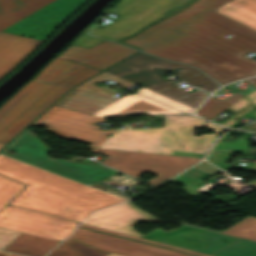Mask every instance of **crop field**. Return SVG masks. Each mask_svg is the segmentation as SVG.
I'll list each match as a JSON object with an SVG mask.
<instances>
[{"mask_svg": "<svg viewBox=\"0 0 256 256\" xmlns=\"http://www.w3.org/2000/svg\"><path fill=\"white\" fill-rule=\"evenodd\" d=\"M230 0H198L123 42L195 66L222 85L256 75V31L215 11ZM232 35L227 38L226 35Z\"/></svg>", "mask_w": 256, "mask_h": 256, "instance_id": "obj_1", "label": "crop field"}, {"mask_svg": "<svg viewBox=\"0 0 256 256\" xmlns=\"http://www.w3.org/2000/svg\"><path fill=\"white\" fill-rule=\"evenodd\" d=\"M0 174L29 185L8 204L78 222L92 210L126 201L3 155H0ZM24 187L0 176V202L7 203Z\"/></svg>", "mask_w": 256, "mask_h": 256, "instance_id": "obj_2", "label": "crop field"}, {"mask_svg": "<svg viewBox=\"0 0 256 256\" xmlns=\"http://www.w3.org/2000/svg\"><path fill=\"white\" fill-rule=\"evenodd\" d=\"M99 72L57 56L0 108V143L6 144L68 89Z\"/></svg>", "mask_w": 256, "mask_h": 256, "instance_id": "obj_3", "label": "crop field"}, {"mask_svg": "<svg viewBox=\"0 0 256 256\" xmlns=\"http://www.w3.org/2000/svg\"><path fill=\"white\" fill-rule=\"evenodd\" d=\"M164 128L117 130L99 148L171 155L173 150L207 153L220 134L176 132L175 116H164Z\"/></svg>", "mask_w": 256, "mask_h": 256, "instance_id": "obj_4", "label": "crop field"}, {"mask_svg": "<svg viewBox=\"0 0 256 256\" xmlns=\"http://www.w3.org/2000/svg\"><path fill=\"white\" fill-rule=\"evenodd\" d=\"M169 71L173 72L177 79L207 92L218 87L213 80L190 66L168 62L143 53H138L108 70L163 96L180 89L177 83L162 78ZM137 78L139 80H136Z\"/></svg>", "mask_w": 256, "mask_h": 256, "instance_id": "obj_5", "label": "crop field"}, {"mask_svg": "<svg viewBox=\"0 0 256 256\" xmlns=\"http://www.w3.org/2000/svg\"><path fill=\"white\" fill-rule=\"evenodd\" d=\"M17 146L21 147L18 148ZM47 149L48 146L39 137H37L34 133H28L24 134L12 147L7 149L2 154L11 157L19 155L16 157L19 160L59 173L83 184L92 185L125 198L123 195L94 183L101 178L113 174L111 170L83 164L70 163L64 161L63 159H53L46 155ZM11 151L16 153L13 155L8 154Z\"/></svg>", "mask_w": 256, "mask_h": 256, "instance_id": "obj_6", "label": "crop field"}, {"mask_svg": "<svg viewBox=\"0 0 256 256\" xmlns=\"http://www.w3.org/2000/svg\"><path fill=\"white\" fill-rule=\"evenodd\" d=\"M191 0H121L114 8L120 16L103 29L94 28L90 35L117 41L144 28L158 18Z\"/></svg>", "mask_w": 256, "mask_h": 256, "instance_id": "obj_7", "label": "crop field"}, {"mask_svg": "<svg viewBox=\"0 0 256 256\" xmlns=\"http://www.w3.org/2000/svg\"><path fill=\"white\" fill-rule=\"evenodd\" d=\"M90 149L91 152L109 156L108 158L103 160L102 163L128 175H131L135 178H138L141 174L145 172L155 174L157 177L146 182L152 186L160 184L162 180L169 179L178 172L201 160L198 158L182 156H166L141 152L116 151L93 148Z\"/></svg>", "mask_w": 256, "mask_h": 256, "instance_id": "obj_8", "label": "crop field"}, {"mask_svg": "<svg viewBox=\"0 0 256 256\" xmlns=\"http://www.w3.org/2000/svg\"><path fill=\"white\" fill-rule=\"evenodd\" d=\"M80 227L116 235V236H121L129 239H134L142 242H147L155 245H160L200 256H208L200 253H196L193 251L141 239V238H136L132 236H128L125 234L117 233L114 231L106 230L103 228L95 227L92 225L84 224L82 223ZM64 242H69L77 245H82L94 249H99L107 252H112L120 255H125V256H192V255H187L179 252H174L94 231H89L85 229L78 228L76 231H74Z\"/></svg>", "mask_w": 256, "mask_h": 256, "instance_id": "obj_9", "label": "crop field"}, {"mask_svg": "<svg viewBox=\"0 0 256 256\" xmlns=\"http://www.w3.org/2000/svg\"><path fill=\"white\" fill-rule=\"evenodd\" d=\"M105 119L91 115L53 106L29 127L36 124L47 126L44 131L64 139L79 140L91 144L89 147L96 148L108 135L117 129L110 131L100 130V126L93 125L95 121Z\"/></svg>", "mask_w": 256, "mask_h": 256, "instance_id": "obj_10", "label": "crop field"}, {"mask_svg": "<svg viewBox=\"0 0 256 256\" xmlns=\"http://www.w3.org/2000/svg\"><path fill=\"white\" fill-rule=\"evenodd\" d=\"M0 203V208L3 206ZM78 222L8 205L0 212V227L63 240Z\"/></svg>", "mask_w": 256, "mask_h": 256, "instance_id": "obj_11", "label": "crop field"}, {"mask_svg": "<svg viewBox=\"0 0 256 256\" xmlns=\"http://www.w3.org/2000/svg\"><path fill=\"white\" fill-rule=\"evenodd\" d=\"M193 109L141 87L139 93L117 100L96 113L95 116L110 119L135 113L153 116L190 114Z\"/></svg>", "mask_w": 256, "mask_h": 256, "instance_id": "obj_12", "label": "crop field"}, {"mask_svg": "<svg viewBox=\"0 0 256 256\" xmlns=\"http://www.w3.org/2000/svg\"><path fill=\"white\" fill-rule=\"evenodd\" d=\"M86 1L88 0H55L3 31L44 41L65 18Z\"/></svg>", "mask_w": 256, "mask_h": 256, "instance_id": "obj_13", "label": "crop field"}, {"mask_svg": "<svg viewBox=\"0 0 256 256\" xmlns=\"http://www.w3.org/2000/svg\"><path fill=\"white\" fill-rule=\"evenodd\" d=\"M107 79H111L126 87L134 85L128 80L104 71L102 74L71 90L59 102H57L55 106L91 115L95 114L96 112L119 99L113 96L117 93V91L109 87H96L95 82Z\"/></svg>", "mask_w": 256, "mask_h": 256, "instance_id": "obj_14", "label": "crop field"}, {"mask_svg": "<svg viewBox=\"0 0 256 256\" xmlns=\"http://www.w3.org/2000/svg\"><path fill=\"white\" fill-rule=\"evenodd\" d=\"M188 236L192 238L185 241L184 239ZM142 238L178 246L208 255L240 239L187 225H184L176 230L172 229L168 232L157 228L144 235Z\"/></svg>", "mask_w": 256, "mask_h": 256, "instance_id": "obj_15", "label": "crop field"}, {"mask_svg": "<svg viewBox=\"0 0 256 256\" xmlns=\"http://www.w3.org/2000/svg\"><path fill=\"white\" fill-rule=\"evenodd\" d=\"M139 220L150 222L159 221L129 202H124L93 213L84 223L140 237L142 235L131 228Z\"/></svg>", "mask_w": 256, "mask_h": 256, "instance_id": "obj_16", "label": "crop field"}, {"mask_svg": "<svg viewBox=\"0 0 256 256\" xmlns=\"http://www.w3.org/2000/svg\"><path fill=\"white\" fill-rule=\"evenodd\" d=\"M135 52L106 41L90 49L69 44L59 55L103 70Z\"/></svg>", "mask_w": 256, "mask_h": 256, "instance_id": "obj_17", "label": "crop field"}, {"mask_svg": "<svg viewBox=\"0 0 256 256\" xmlns=\"http://www.w3.org/2000/svg\"><path fill=\"white\" fill-rule=\"evenodd\" d=\"M41 43V41L0 32V79Z\"/></svg>", "mask_w": 256, "mask_h": 256, "instance_id": "obj_18", "label": "crop field"}, {"mask_svg": "<svg viewBox=\"0 0 256 256\" xmlns=\"http://www.w3.org/2000/svg\"><path fill=\"white\" fill-rule=\"evenodd\" d=\"M54 0H0V31Z\"/></svg>", "mask_w": 256, "mask_h": 256, "instance_id": "obj_19", "label": "crop field"}, {"mask_svg": "<svg viewBox=\"0 0 256 256\" xmlns=\"http://www.w3.org/2000/svg\"><path fill=\"white\" fill-rule=\"evenodd\" d=\"M248 142L249 140L243 137L236 139L234 143L217 142L213 150L208 155L207 160L225 170L233 166L223 164L230 152L249 153L245 158L256 159V149L248 148L250 145ZM223 143L225 145H223ZM229 145L232 146L229 147ZM249 168H252L256 171V163L251 165ZM248 184L256 188V180H253Z\"/></svg>", "mask_w": 256, "mask_h": 256, "instance_id": "obj_20", "label": "crop field"}, {"mask_svg": "<svg viewBox=\"0 0 256 256\" xmlns=\"http://www.w3.org/2000/svg\"><path fill=\"white\" fill-rule=\"evenodd\" d=\"M220 172H222L220 169L203 161L197 166L185 171L172 181L182 184L184 193L191 197H195L201 195V193L194 189L201 186L206 177H211Z\"/></svg>", "mask_w": 256, "mask_h": 256, "instance_id": "obj_21", "label": "crop field"}, {"mask_svg": "<svg viewBox=\"0 0 256 256\" xmlns=\"http://www.w3.org/2000/svg\"><path fill=\"white\" fill-rule=\"evenodd\" d=\"M59 242L23 233L6 250L29 256H43Z\"/></svg>", "mask_w": 256, "mask_h": 256, "instance_id": "obj_22", "label": "crop field"}, {"mask_svg": "<svg viewBox=\"0 0 256 256\" xmlns=\"http://www.w3.org/2000/svg\"><path fill=\"white\" fill-rule=\"evenodd\" d=\"M215 11L256 30V2L252 0H231Z\"/></svg>", "mask_w": 256, "mask_h": 256, "instance_id": "obj_23", "label": "crop field"}, {"mask_svg": "<svg viewBox=\"0 0 256 256\" xmlns=\"http://www.w3.org/2000/svg\"><path fill=\"white\" fill-rule=\"evenodd\" d=\"M241 97L243 96L239 93L233 95L225 101L211 97L203 104V106L196 112V114L210 120Z\"/></svg>", "mask_w": 256, "mask_h": 256, "instance_id": "obj_24", "label": "crop field"}, {"mask_svg": "<svg viewBox=\"0 0 256 256\" xmlns=\"http://www.w3.org/2000/svg\"><path fill=\"white\" fill-rule=\"evenodd\" d=\"M222 233L256 241V217L249 216Z\"/></svg>", "mask_w": 256, "mask_h": 256, "instance_id": "obj_25", "label": "crop field"}, {"mask_svg": "<svg viewBox=\"0 0 256 256\" xmlns=\"http://www.w3.org/2000/svg\"><path fill=\"white\" fill-rule=\"evenodd\" d=\"M108 253L69 243H62L47 256H106Z\"/></svg>", "mask_w": 256, "mask_h": 256, "instance_id": "obj_26", "label": "crop field"}, {"mask_svg": "<svg viewBox=\"0 0 256 256\" xmlns=\"http://www.w3.org/2000/svg\"><path fill=\"white\" fill-rule=\"evenodd\" d=\"M177 131H195V126L210 127L215 133H222L223 128L194 116H176Z\"/></svg>", "mask_w": 256, "mask_h": 256, "instance_id": "obj_27", "label": "crop field"}, {"mask_svg": "<svg viewBox=\"0 0 256 256\" xmlns=\"http://www.w3.org/2000/svg\"><path fill=\"white\" fill-rule=\"evenodd\" d=\"M214 256H256V242L242 239Z\"/></svg>", "mask_w": 256, "mask_h": 256, "instance_id": "obj_28", "label": "crop field"}, {"mask_svg": "<svg viewBox=\"0 0 256 256\" xmlns=\"http://www.w3.org/2000/svg\"><path fill=\"white\" fill-rule=\"evenodd\" d=\"M253 102L251 105H249L247 108L239 112L238 114L234 115L232 118L228 119L226 122H224L222 125L229 126L233 122H235V119L240 117L241 115L245 114L246 112L250 111L251 109L256 107V91L241 98L239 101L234 103L232 106H230L226 111L230 113H235L245 105H247L249 102Z\"/></svg>", "mask_w": 256, "mask_h": 256, "instance_id": "obj_29", "label": "crop field"}, {"mask_svg": "<svg viewBox=\"0 0 256 256\" xmlns=\"http://www.w3.org/2000/svg\"><path fill=\"white\" fill-rule=\"evenodd\" d=\"M170 98H173L177 101H180L182 103H185L189 106H192L194 108H196L204 98L197 96L195 94H192L186 90L180 89L178 91H175L171 94L166 95Z\"/></svg>", "mask_w": 256, "mask_h": 256, "instance_id": "obj_30", "label": "crop field"}, {"mask_svg": "<svg viewBox=\"0 0 256 256\" xmlns=\"http://www.w3.org/2000/svg\"><path fill=\"white\" fill-rule=\"evenodd\" d=\"M87 30L88 29H85L78 37H76L71 42V44L81 46V47L90 48L94 45H97L99 43H102V42L106 41V40H102V39L87 36L86 35Z\"/></svg>", "mask_w": 256, "mask_h": 256, "instance_id": "obj_31", "label": "crop field"}, {"mask_svg": "<svg viewBox=\"0 0 256 256\" xmlns=\"http://www.w3.org/2000/svg\"><path fill=\"white\" fill-rule=\"evenodd\" d=\"M22 233L0 228V249L5 250Z\"/></svg>", "mask_w": 256, "mask_h": 256, "instance_id": "obj_32", "label": "crop field"}, {"mask_svg": "<svg viewBox=\"0 0 256 256\" xmlns=\"http://www.w3.org/2000/svg\"><path fill=\"white\" fill-rule=\"evenodd\" d=\"M172 155H183V156H191V157H199V158H203L205 156V154H201V153L179 152V151H174Z\"/></svg>", "mask_w": 256, "mask_h": 256, "instance_id": "obj_33", "label": "crop field"}, {"mask_svg": "<svg viewBox=\"0 0 256 256\" xmlns=\"http://www.w3.org/2000/svg\"><path fill=\"white\" fill-rule=\"evenodd\" d=\"M253 128H256V123H253L251 125H248V126H245L243 128H240V129H244V130H251Z\"/></svg>", "mask_w": 256, "mask_h": 256, "instance_id": "obj_34", "label": "crop field"}, {"mask_svg": "<svg viewBox=\"0 0 256 256\" xmlns=\"http://www.w3.org/2000/svg\"><path fill=\"white\" fill-rule=\"evenodd\" d=\"M192 93H195V94H197V95H200V96H202V97H204V98H206L208 95H206V93H204V92H201V91H199V90H197V91H195V92H192Z\"/></svg>", "mask_w": 256, "mask_h": 256, "instance_id": "obj_35", "label": "crop field"}, {"mask_svg": "<svg viewBox=\"0 0 256 256\" xmlns=\"http://www.w3.org/2000/svg\"><path fill=\"white\" fill-rule=\"evenodd\" d=\"M245 81L251 83V84H254L256 83V77L255 78H250V79H246Z\"/></svg>", "mask_w": 256, "mask_h": 256, "instance_id": "obj_36", "label": "crop field"}, {"mask_svg": "<svg viewBox=\"0 0 256 256\" xmlns=\"http://www.w3.org/2000/svg\"><path fill=\"white\" fill-rule=\"evenodd\" d=\"M9 255H10V253L0 251V256H9Z\"/></svg>", "mask_w": 256, "mask_h": 256, "instance_id": "obj_37", "label": "crop field"}, {"mask_svg": "<svg viewBox=\"0 0 256 256\" xmlns=\"http://www.w3.org/2000/svg\"><path fill=\"white\" fill-rule=\"evenodd\" d=\"M107 256H120V255L109 253Z\"/></svg>", "mask_w": 256, "mask_h": 256, "instance_id": "obj_38", "label": "crop field"}, {"mask_svg": "<svg viewBox=\"0 0 256 256\" xmlns=\"http://www.w3.org/2000/svg\"><path fill=\"white\" fill-rule=\"evenodd\" d=\"M4 146V144H0V148H2Z\"/></svg>", "mask_w": 256, "mask_h": 256, "instance_id": "obj_39", "label": "crop field"}, {"mask_svg": "<svg viewBox=\"0 0 256 256\" xmlns=\"http://www.w3.org/2000/svg\"><path fill=\"white\" fill-rule=\"evenodd\" d=\"M10 256H19V255H14V254H11Z\"/></svg>", "mask_w": 256, "mask_h": 256, "instance_id": "obj_40", "label": "crop field"}, {"mask_svg": "<svg viewBox=\"0 0 256 256\" xmlns=\"http://www.w3.org/2000/svg\"><path fill=\"white\" fill-rule=\"evenodd\" d=\"M253 131H256V129H253Z\"/></svg>", "mask_w": 256, "mask_h": 256, "instance_id": "obj_41", "label": "crop field"}, {"mask_svg": "<svg viewBox=\"0 0 256 256\" xmlns=\"http://www.w3.org/2000/svg\"><path fill=\"white\" fill-rule=\"evenodd\" d=\"M188 238H190V237H188ZM188 238H187V239H188ZM185 240H186V239H185Z\"/></svg>", "mask_w": 256, "mask_h": 256, "instance_id": "obj_42", "label": "crop field"}, {"mask_svg": "<svg viewBox=\"0 0 256 256\" xmlns=\"http://www.w3.org/2000/svg\"><path fill=\"white\" fill-rule=\"evenodd\" d=\"M254 86H256V84H254Z\"/></svg>", "mask_w": 256, "mask_h": 256, "instance_id": "obj_43", "label": "crop field"}, {"mask_svg": "<svg viewBox=\"0 0 256 256\" xmlns=\"http://www.w3.org/2000/svg\"><path fill=\"white\" fill-rule=\"evenodd\" d=\"M254 1H256V0H254Z\"/></svg>", "mask_w": 256, "mask_h": 256, "instance_id": "obj_44", "label": "crop field"}]
</instances>
